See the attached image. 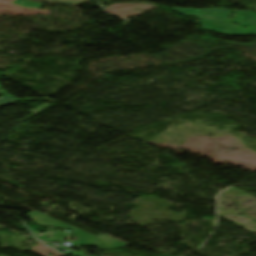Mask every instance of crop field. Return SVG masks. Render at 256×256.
Returning a JSON list of instances; mask_svg holds the SVG:
<instances>
[{"label":"crop field","instance_id":"crop-field-1","mask_svg":"<svg viewBox=\"0 0 256 256\" xmlns=\"http://www.w3.org/2000/svg\"><path fill=\"white\" fill-rule=\"evenodd\" d=\"M30 216L41 226L44 227H56V228H67L69 230H72L74 234L77 236L79 239L78 241L72 242L75 245H83V246H89V247H96V237L92 236L90 234H87L79 229L70 227L62 222L53 220L37 211H34L33 213L30 214ZM99 240V247L100 249H118L121 247H124L128 244H124L122 242H119L113 238H110L108 236H105L101 234L98 236Z\"/></svg>","mask_w":256,"mask_h":256},{"label":"crop field","instance_id":"crop-field-2","mask_svg":"<svg viewBox=\"0 0 256 256\" xmlns=\"http://www.w3.org/2000/svg\"><path fill=\"white\" fill-rule=\"evenodd\" d=\"M11 4L16 6L26 7L29 9H40L44 5L43 3H39L31 0H14Z\"/></svg>","mask_w":256,"mask_h":256},{"label":"crop field","instance_id":"crop-field-3","mask_svg":"<svg viewBox=\"0 0 256 256\" xmlns=\"http://www.w3.org/2000/svg\"><path fill=\"white\" fill-rule=\"evenodd\" d=\"M0 95H4L3 98H0V106H4V105L11 104V103L19 101L15 98L11 97L7 93H5L3 91V89L1 88V86H0Z\"/></svg>","mask_w":256,"mask_h":256},{"label":"crop field","instance_id":"crop-field-4","mask_svg":"<svg viewBox=\"0 0 256 256\" xmlns=\"http://www.w3.org/2000/svg\"><path fill=\"white\" fill-rule=\"evenodd\" d=\"M53 106H55V105L45 103V104H43V105H41V106L31 110L30 112H32L34 114L33 116H35V115H37V114H39V113H41L43 111L48 110L49 108H51ZM33 116H31V117H33ZM31 117H29V118H31ZM29 118H27V119H29ZM27 119H25V120H27ZM25 120H23V121H25Z\"/></svg>","mask_w":256,"mask_h":256},{"label":"crop field","instance_id":"crop-field-5","mask_svg":"<svg viewBox=\"0 0 256 256\" xmlns=\"http://www.w3.org/2000/svg\"><path fill=\"white\" fill-rule=\"evenodd\" d=\"M47 2H57L61 4H82L83 1H89V0H44Z\"/></svg>","mask_w":256,"mask_h":256},{"label":"crop field","instance_id":"crop-field-6","mask_svg":"<svg viewBox=\"0 0 256 256\" xmlns=\"http://www.w3.org/2000/svg\"><path fill=\"white\" fill-rule=\"evenodd\" d=\"M23 100H28V101H51L53 102L52 100L48 99V98H43V99H34V98H25Z\"/></svg>","mask_w":256,"mask_h":256}]
</instances>
